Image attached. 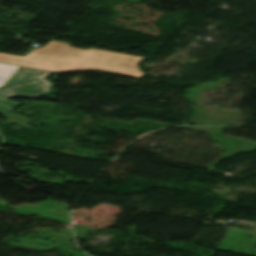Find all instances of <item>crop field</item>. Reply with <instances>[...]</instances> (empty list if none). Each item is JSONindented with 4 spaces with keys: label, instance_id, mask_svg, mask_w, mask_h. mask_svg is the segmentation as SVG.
I'll list each match as a JSON object with an SVG mask.
<instances>
[{
    "label": "crop field",
    "instance_id": "obj_3",
    "mask_svg": "<svg viewBox=\"0 0 256 256\" xmlns=\"http://www.w3.org/2000/svg\"><path fill=\"white\" fill-rule=\"evenodd\" d=\"M17 68V66L0 63V86H3Z\"/></svg>",
    "mask_w": 256,
    "mask_h": 256
},
{
    "label": "crop field",
    "instance_id": "obj_2",
    "mask_svg": "<svg viewBox=\"0 0 256 256\" xmlns=\"http://www.w3.org/2000/svg\"><path fill=\"white\" fill-rule=\"evenodd\" d=\"M53 73L19 67L0 89V114L4 115L22 104L5 98L23 96L33 99L46 94L52 85L44 78Z\"/></svg>",
    "mask_w": 256,
    "mask_h": 256
},
{
    "label": "crop field",
    "instance_id": "obj_1",
    "mask_svg": "<svg viewBox=\"0 0 256 256\" xmlns=\"http://www.w3.org/2000/svg\"><path fill=\"white\" fill-rule=\"evenodd\" d=\"M142 59L92 48L77 49L55 41L49 42L43 48L32 50L24 57L0 53V62L17 66L49 71L100 69L134 78L143 75L137 65Z\"/></svg>",
    "mask_w": 256,
    "mask_h": 256
}]
</instances>
